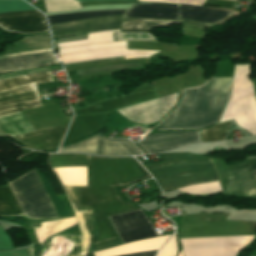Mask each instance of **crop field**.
<instances>
[{
    "mask_svg": "<svg viewBox=\"0 0 256 256\" xmlns=\"http://www.w3.org/2000/svg\"><path fill=\"white\" fill-rule=\"evenodd\" d=\"M51 168L87 166V187H65L73 203L90 202L98 235L94 244L117 238L106 216L135 208L123 203L112 186L127 185L150 177L133 158H112L87 154H50Z\"/></svg>",
    "mask_w": 256,
    "mask_h": 256,
    "instance_id": "8a807250",
    "label": "crop field"
},
{
    "mask_svg": "<svg viewBox=\"0 0 256 256\" xmlns=\"http://www.w3.org/2000/svg\"><path fill=\"white\" fill-rule=\"evenodd\" d=\"M223 190L256 195V170L235 172L223 160L211 159ZM156 176L162 189L169 190L191 184L216 181L209 159L186 160L144 166Z\"/></svg>",
    "mask_w": 256,
    "mask_h": 256,
    "instance_id": "ac0d7876",
    "label": "crop field"
},
{
    "mask_svg": "<svg viewBox=\"0 0 256 256\" xmlns=\"http://www.w3.org/2000/svg\"><path fill=\"white\" fill-rule=\"evenodd\" d=\"M231 78H212L200 87L183 90L180 105L158 130L194 129L216 123L227 99Z\"/></svg>",
    "mask_w": 256,
    "mask_h": 256,
    "instance_id": "34b2d1b8",
    "label": "crop field"
},
{
    "mask_svg": "<svg viewBox=\"0 0 256 256\" xmlns=\"http://www.w3.org/2000/svg\"><path fill=\"white\" fill-rule=\"evenodd\" d=\"M175 20H162V19H147V18H123L122 16H105L91 19H85L75 22L59 23L49 25L52 30V37H61L68 35L83 34L102 30H115L121 29L122 31H146L148 32L157 26H170L171 23L183 24L199 29H206L214 24L202 23L187 19Z\"/></svg>",
    "mask_w": 256,
    "mask_h": 256,
    "instance_id": "412701ff",
    "label": "crop field"
},
{
    "mask_svg": "<svg viewBox=\"0 0 256 256\" xmlns=\"http://www.w3.org/2000/svg\"><path fill=\"white\" fill-rule=\"evenodd\" d=\"M251 64L235 65L229 99L219 122L235 119L237 126L256 134V100L250 82Z\"/></svg>",
    "mask_w": 256,
    "mask_h": 256,
    "instance_id": "f4fd0767",
    "label": "crop field"
},
{
    "mask_svg": "<svg viewBox=\"0 0 256 256\" xmlns=\"http://www.w3.org/2000/svg\"><path fill=\"white\" fill-rule=\"evenodd\" d=\"M228 214H188L181 220H226ZM255 221H181L180 238L254 235Z\"/></svg>",
    "mask_w": 256,
    "mask_h": 256,
    "instance_id": "dd49c442",
    "label": "crop field"
},
{
    "mask_svg": "<svg viewBox=\"0 0 256 256\" xmlns=\"http://www.w3.org/2000/svg\"><path fill=\"white\" fill-rule=\"evenodd\" d=\"M9 184L27 217H61L30 171Z\"/></svg>",
    "mask_w": 256,
    "mask_h": 256,
    "instance_id": "e52e79f7",
    "label": "crop field"
},
{
    "mask_svg": "<svg viewBox=\"0 0 256 256\" xmlns=\"http://www.w3.org/2000/svg\"><path fill=\"white\" fill-rule=\"evenodd\" d=\"M156 52L157 51L126 50V41H123L117 43L61 48L59 52V59L62 64H66L118 56H124V59L149 57Z\"/></svg>",
    "mask_w": 256,
    "mask_h": 256,
    "instance_id": "d8731c3e",
    "label": "crop field"
},
{
    "mask_svg": "<svg viewBox=\"0 0 256 256\" xmlns=\"http://www.w3.org/2000/svg\"><path fill=\"white\" fill-rule=\"evenodd\" d=\"M109 219L123 243L158 236L141 210L110 216Z\"/></svg>",
    "mask_w": 256,
    "mask_h": 256,
    "instance_id": "5a996713",
    "label": "crop field"
},
{
    "mask_svg": "<svg viewBox=\"0 0 256 256\" xmlns=\"http://www.w3.org/2000/svg\"><path fill=\"white\" fill-rule=\"evenodd\" d=\"M130 142L122 139H105L97 135L80 143L62 147L59 149V152H88L98 155L114 156L142 154V152Z\"/></svg>",
    "mask_w": 256,
    "mask_h": 256,
    "instance_id": "3316defc",
    "label": "crop field"
},
{
    "mask_svg": "<svg viewBox=\"0 0 256 256\" xmlns=\"http://www.w3.org/2000/svg\"><path fill=\"white\" fill-rule=\"evenodd\" d=\"M177 97L178 94H174L132 107L117 110V112L122 114L133 124L159 121L176 106Z\"/></svg>",
    "mask_w": 256,
    "mask_h": 256,
    "instance_id": "28ad6ade",
    "label": "crop field"
},
{
    "mask_svg": "<svg viewBox=\"0 0 256 256\" xmlns=\"http://www.w3.org/2000/svg\"><path fill=\"white\" fill-rule=\"evenodd\" d=\"M202 142L199 130L164 132L147 135L137 143L147 154L164 152L179 146Z\"/></svg>",
    "mask_w": 256,
    "mask_h": 256,
    "instance_id": "d1516ede",
    "label": "crop field"
},
{
    "mask_svg": "<svg viewBox=\"0 0 256 256\" xmlns=\"http://www.w3.org/2000/svg\"><path fill=\"white\" fill-rule=\"evenodd\" d=\"M57 63L51 49L0 56V74Z\"/></svg>",
    "mask_w": 256,
    "mask_h": 256,
    "instance_id": "22f410ed",
    "label": "crop field"
},
{
    "mask_svg": "<svg viewBox=\"0 0 256 256\" xmlns=\"http://www.w3.org/2000/svg\"><path fill=\"white\" fill-rule=\"evenodd\" d=\"M0 26L25 34L49 31L44 16L38 11L1 13Z\"/></svg>",
    "mask_w": 256,
    "mask_h": 256,
    "instance_id": "cbeb9de0",
    "label": "crop field"
},
{
    "mask_svg": "<svg viewBox=\"0 0 256 256\" xmlns=\"http://www.w3.org/2000/svg\"><path fill=\"white\" fill-rule=\"evenodd\" d=\"M41 106L35 86L0 93V116Z\"/></svg>",
    "mask_w": 256,
    "mask_h": 256,
    "instance_id": "5142ce71",
    "label": "crop field"
},
{
    "mask_svg": "<svg viewBox=\"0 0 256 256\" xmlns=\"http://www.w3.org/2000/svg\"><path fill=\"white\" fill-rule=\"evenodd\" d=\"M68 124L22 134L16 139L40 150L58 147Z\"/></svg>",
    "mask_w": 256,
    "mask_h": 256,
    "instance_id": "d9b57169",
    "label": "crop field"
},
{
    "mask_svg": "<svg viewBox=\"0 0 256 256\" xmlns=\"http://www.w3.org/2000/svg\"><path fill=\"white\" fill-rule=\"evenodd\" d=\"M179 5L134 4L124 17H148L178 20Z\"/></svg>",
    "mask_w": 256,
    "mask_h": 256,
    "instance_id": "733c2abd",
    "label": "crop field"
},
{
    "mask_svg": "<svg viewBox=\"0 0 256 256\" xmlns=\"http://www.w3.org/2000/svg\"><path fill=\"white\" fill-rule=\"evenodd\" d=\"M231 13L232 12L181 4L179 17L202 22L216 23Z\"/></svg>",
    "mask_w": 256,
    "mask_h": 256,
    "instance_id": "4a817a6b",
    "label": "crop field"
},
{
    "mask_svg": "<svg viewBox=\"0 0 256 256\" xmlns=\"http://www.w3.org/2000/svg\"><path fill=\"white\" fill-rule=\"evenodd\" d=\"M0 131L13 137L33 131L22 112L0 117Z\"/></svg>",
    "mask_w": 256,
    "mask_h": 256,
    "instance_id": "bc2a9ffb",
    "label": "crop field"
},
{
    "mask_svg": "<svg viewBox=\"0 0 256 256\" xmlns=\"http://www.w3.org/2000/svg\"><path fill=\"white\" fill-rule=\"evenodd\" d=\"M53 81L51 71L0 80V92L34 83Z\"/></svg>",
    "mask_w": 256,
    "mask_h": 256,
    "instance_id": "214f88e0",
    "label": "crop field"
},
{
    "mask_svg": "<svg viewBox=\"0 0 256 256\" xmlns=\"http://www.w3.org/2000/svg\"><path fill=\"white\" fill-rule=\"evenodd\" d=\"M53 171L63 186H86V167H62Z\"/></svg>",
    "mask_w": 256,
    "mask_h": 256,
    "instance_id": "92a150f3",
    "label": "crop field"
},
{
    "mask_svg": "<svg viewBox=\"0 0 256 256\" xmlns=\"http://www.w3.org/2000/svg\"><path fill=\"white\" fill-rule=\"evenodd\" d=\"M75 217L42 223L36 230V239L39 244L44 243L47 237L71 226Z\"/></svg>",
    "mask_w": 256,
    "mask_h": 256,
    "instance_id": "dafd665d",
    "label": "crop field"
},
{
    "mask_svg": "<svg viewBox=\"0 0 256 256\" xmlns=\"http://www.w3.org/2000/svg\"><path fill=\"white\" fill-rule=\"evenodd\" d=\"M126 12L127 10L88 11V12H80V13H72V14L47 16V19L49 24H51V23L75 21V20H80V19H85L90 17H96V16L124 15Z\"/></svg>",
    "mask_w": 256,
    "mask_h": 256,
    "instance_id": "00972430",
    "label": "crop field"
},
{
    "mask_svg": "<svg viewBox=\"0 0 256 256\" xmlns=\"http://www.w3.org/2000/svg\"><path fill=\"white\" fill-rule=\"evenodd\" d=\"M22 214L9 187L0 188V216Z\"/></svg>",
    "mask_w": 256,
    "mask_h": 256,
    "instance_id": "a9b5d70f",
    "label": "crop field"
},
{
    "mask_svg": "<svg viewBox=\"0 0 256 256\" xmlns=\"http://www.w3.org/2000/svg\"><path fill=\"white\" fill-rule=\"evenodd\" d=\"M18 52L50 48L49 34L37 37H28L16 43Z\"/></svg>",
    "mask_w": 256,
    "mask_h": 256,
    "instance_id": "4177f3b9",
    "label": "crop field"
},
{
    "mask_svg": "<svg viewBox=\"0 0 256 256\" xmlns=\"http://www.w3.org/2000/svg\"><path fill=\"white\" fill-rule=\"evenodd\" d=\"M120 31L121 30H117L113 32H120ZM109 41H113L112 31L95 32V33H89L87 40L60 43L58 44V48L64 47V46H71V45H82V44H91V43L109 42Z\"/></svg>",
    "mask_w": 256,
    "mask_h": 256,
    "instance_id": "730fd06b",
    "label": "crop field"
},
{
    "mask_svg": "<svg viewBox=\"0 0 256 256\" xmlns=\"http://www.w3.org/2000/svg\"><path fill=\"white\" fill-rule=\"evenodd\" d=\"M230 122L219 124L212 128L200 130L203 142L224 140L223 134L230 125Z\"/></svg>",
    "mask_w": 256,
    "mask_h": 256,
    "instance_id": "eef30255",
    "label": "crop field"
},
{
    "mask_svg": "<svg viewBox=\"0 0 256 256\" xmlns=\"http://www.w3.org/2000/svg\"><path fill=\"white\" fill-rule=\"evenodd\" d=\"M47 12L81 8L75 0H44Z\"/></svg>",
    "mask_w": 256,
    "mask_h": 256,
    "instance_id": "ae1a2a85",
    "label": "crop field"
},
{
    "mask_svg": "<svg viewBox=\"0 0 256 256\" xmlns=\"http://www.w3.org/2000/svg\"><path fill=\"white\" fill-rule=\"evenodd\" d=\"M31 6L22 0H0V12L32 10Z\"/></svg>",
    "mask_w": 256,
    "mask_h": 256,
    "instance_id": "d3111659",
    "label": "crop field"
},
{
    "mask_svg": "<svg viewBox=\"0 0 256 256\" xmlns=\"http://www.w3.org/2000/svg\"><path fill=\"white\" fill-rule=\"evenodd\" d=\"M132 67H141V62L126 63V64H119V65H112V66H105V67H97V68L80 69L76 71H77V74L80 75L85 73L126 69V68H132Z\"/></svg>",
    "mask_w": 256,
    "mask_h": 256,
    "instance_id": "750c4746",
    "label": "crop field"
},
{
    "mask_svg": "<svg viewBox=\"0 0 256 256\" xmlns=\"http://www.w3.org/2000/svg\"><path fill=\"white\" fill-rule=\"evenodd\" d=\"M14 246L8 234L0 226V251L14 250Z\"/></svg>",
    "mask_w": 256,
    "mask_h": 256,
    "instance_id": "bd1437ed",
    "label": "crop field"
},
{
    "mask_svg": "<svg viewBox=\"0 0 256 256\" xmlns=\"http://www.w3.org/2000/svg\"><path fill=\"white\" fill-rule=\"evenodd\" d=\"M0 256H33V248L22 249L14 252H1Z\"/></svg>",
    "mask_w": 256,
    "mask_h": 256,
    "instance_id": "1d83c4d3",
    "label": "crop field"
},
{
    "mask_svg": "<svg viewBox=\"0 0 256 256\" xmlns=\"http://www.w3.org/2000/svg\"><path fill=\"white\" fill-rule=\"evenodd\" d=\"M51 69H52V66L51 67H46V68H41V69H36V70H31V71H26V72L2 75V76H0V79L13 77V76H18V75H23V74L35 73V72H40V71H45V70H51Z\"/></svg>",
    "mask_w": 256,
    "mask_h": 256,
    "instance_id": "120bbe31",
    "label": "crop field"
},
{
    "mask_svg": "<svg viewBox=\"0 0 256 256\" xmlns=\"http://www.w3.org/2000/svg\"><path fill=\"white\" fill-rule=\"evenodd\" d=\"M116 82L111 81V82L99 83V84L90 85L89 87L91 90H94V89L104 88V87H108V86H112V85H118L119 82L118 83H116Z\"/></svg>",
    "mask_w": 256,
    "mask_h": 256,
    "instance_id": "d32e631a",
    "label": "crop field"
},
{
    "mask_svg": "<svg viewBox=\"0 0 256 256\" xmlns=\"http://www.w3.org/2000/svg\"><path fill=\"white\" fill-rule=\"evenodd\" d=\"M157 250L155 251H147V252H139V253H133V254H127L122 256H155Z\"/></svg>",
    "mask_w": 256,
    "mask_h": 256,
    "instance_id": "5866460e",
    "label": "crop field"
},
{
    "mask_svg": "<svg viewBox=\"0 0 256 256\" xmlns=\"http://www.w3.org/2000/svg\"><path fill=\"white\" fill-rule=\"evenodd\" d=\"M117 59H123V57H119V58H109V59H103V60H97V61H89V62H82V63H74V64H66V65H64V67L74 66V65H80V64H86V63H92V62H99V61L117 60Z\"/></svg>",
    "mask_w": 256,
    "mask_h": 256,
    "instance_id": "028f5c9d",
    "label": "crop field"
},
{
    "mask_svg": "<svg viewBox=\"0 0 256 256\" xmlns=\"http://www.w3.org/2000/svg\"><path fill=\"white\" fill-rule=\"evenodd\" d=\"M78 1H88V0H78Z\"/></svg>",
    "mask_w": 256,
    "mask_h": 256,
    "instance_id": "e1f06a70",
    "label": "crop field"
}]
</instances>
